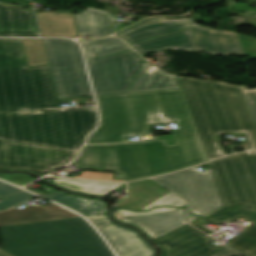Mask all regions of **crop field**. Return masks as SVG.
Segmentation results:
<instances>
[{
    "mask_svg": "<svg viewBox=\"0 0 256 256\" xmlns=\"http://www.w3.org/2000/svg\"><path fill=\"white\" fill-rule=\"evenodd\" d=\"M96 97L102 121L87 144L143 135L148 123L155 122H175L177 142L87 145L75 162L83 169L123 173L126 181L207 161L182 90Z\"/></svg>",
    "mask_w": 256,
    "mask_h": 256,
    "instance_id": "1",
    "label": "crop field"
},
{
    "mask_svg": "<svg viewBox=\"0 0 256 256\" xmlns=\"http://www.w3.org/2000/svg\"><path fill=\"white\" fill-rule=\"evenodd\" d=\"M207 159L225 155L219 134L245 132L256 149V130L238 86L179 77Z\"/></svg>",
    "mask_w": 256,
    "mask_h": 256,
    "instance_id": "2",
    "label": "crop field"
},
{
    "mask_svg": "<svg viewBox=\"0 0 256 256\" xmlns=\"http://www.w3.org/2000/svg\"><path fill=\"white\" fill-rule=\"evenodd\" d=\"M3 248L14 256H113L82 218L0 228Z\"/></svg>",
    "mask_w": 256,
    "mask_h": 256,
    "instance_id": "3",
    "label": "crop field"
},
{
    "mask_svg": "<svg viewBox=\"0 0 256 256\" xmlns=\"http://www.w3.org/2000/svg\"><path fill=\"white\" fill-rule=\"evenodd\" d=\"M96 120L95 108L0 112V138L80 149Z\"/></svg>",
    "mask_w": 256,
    "mask_h": 256,
    "instance_id": "4",
    "label": "crop field"
},
{
    "mask_svg": "<svg viewBox=\"0 0 256 256\" xmlns=\"http://www.w3.org/2000/svg\"><path fill=\"white\" fill-rule=\"evenodd\" d=\"M60 108L48 65L0 72V111Z\"/></svg>",
    "mask_w": 256,
    "mask_h": 256,
    "instance_id": "5",
    "label": "crop field"
},
{
    "mask_svg": "<svg viewBox=\"0 0 256 256\" xmlns=\"http://www.w3.org/2000/svg\"><path fill=\"white\" fill-rule=\"evenodd\" d=\"M58 98L91 95L78 44L65 39H43Z\"/></svg>",
    "mask_w": 256,
    "mask_h": 256,
    "instance_id": "6",
    "label": "crop field"
},
{
    "mask_svg": "<svg viewBox=\"0 0 256 256\" xmlns=\"http://www.w3.org/2000/svg\"><path fill=\"white\" fill-rule=\"evenodd\" d=\"M78 151L0 139V169H24L42 176L70 162Z\"/></svg>",
    "mask_w": 256,
    "mask_h": 256,
    "instance_id": "7",
    "label": "crop field"
},
{
    "mask_svg": "<svg viewBox=\"0 0 256 256\" xmlns=\"http://www.w3.org/2000/svg\"><path fill=\"white\" fill-rule=\"evenodd\" d=\"M223 205L234 200L256 203V152L210 162Z\"/></svg>",
    "mask_w": 256,
    "mask_h": 256,
    "instance_id": "8",
    "label": "crop field"
},
{
    "mask_svg": "<svg viewBox=\"0 0 256 256\" xmlns=\"http://www.w3.org/2000/svg\"><path fill=\"white\" fill-rule=\"evenodd\" d=\"M96 95L130 93L143 59L133 50L102 59H86Z\"/></svg>",
    "mask_w": 256,
    "mask_h": 256,
    "instance_id": "9",
    "label": "crop field"
},
{
    "mask_svg": "<svg viewBox=\"0 0 256 256\" xmlns=\"http://www.w3.org/2000/svg\"><path fill=\"white\" fill-rule=\"evenodd\" d=\"M155 179L187 199L197 215L223 206L209 164L204 172L192 168Z\"/></svg>",
    "mask_w": 256,
    "mask_h": 256,
    "instance_id": "10",
    "label": "crop field"
},
{
    "mask_svg": "<svg viewBox=\"0 0 256 256\" xmlns=\"http://www.w3.org/2000/svg\"><path fill=\"white\" fill-rule=\"evenodd\" d=\"M154 241L163 250L161 256H211L218 251L209 243L214 239L188 224Z\"/></svg>",
    "mask_w": 256,
    "mask_h": 256,
    "instance_id": "11",
    "label": "crop field"
},
{
    "mask_svg": "<svg viewBox=\"0 0 256 256\" xmlns=\"http://www.w3.org/2000/svg\"><path fill=\"white\" fill-rule=\"evenodd\" d=\"M87 219L99 229L118 256H152V249L134 232L114 225L104 215Z\"/></svg>",
    "mask_w": 256,
    "mask_h": 256,
    "instance_id": "12",
    "label": "crop field"
},
{
    "mask_svg": "<svg viewBox=\"0 0 256 256\" xmlns=\"http://www.w3.org/2000/svg\"><path fill=\"white\" fill-rule=\"evenodd\" d=\"M77 217L80 216L53 203L45 207L9 208L0 212V227Z\"/></svg>",
    "mask_w": 256,
    "mask_h": 256,
    "instance_id": "13",
    "label": "crop field"
},
{
    "mask_svg": "<svg viewBox=\"0 0 256 256\" xmlns=\"http://www.w3.org/2000/svg\"><path fill=\"white\" fill-rule=\"evenodd\" d=\"M201 52L210 55L244 56L237 33L217 31L193 24Z\"/></svg>",
    "mask_w": 256,
    "mask_h": 256,
    "instance_id": "14",
    "label": "crop field"
},
{
    "mask_svg": "<svg viewBox=\"0 0 256 256\" xmlns=\"http://www.w3.org/2000/svg\"><path fill=\"white\" fill-rule=\"evenodd\" d=\"M0 36H39L34 13L0 2Z\"/></svg>",
    "mask_w": 256,
    "mask_h": 256,
    "instance_id": "15",
    "label": "crop field"
},
{
    "mask_svg": "<svg viewBox=\"0 0 256 256\" xmlns=\"http://www.w3.org/2000/svg\"><path fill=\"white\" fill-rule=\"evenodd\" d=\"M119 221L135 225L145 231L149 238L154 240L186 224L185 208Z\"/></svg>",
    "mask_w": 256,
    "mask_h": 256,
    "instance_id": "16",
    "label": "crop field"
},
{
    "mask_svg": "<svg viewBox=\"0 0 256 256\" xmlns=\"http://www.w3.org/2000/svg\"><path fill=\"white\" fill-rule=\"evenodd\" d=\"M188 27H191L190 19L169 22L165 18L158 17L140 22L135 26L116 34L115 36L124 39L128 44H132L141 40L175 32Z\"/></svg>",
    "mask_w": 256,
    "mask_h": 256,
    "instance_id": "17",
    "label": "crop field"
},
{
    "mask_svg": "<svg viewBox=\"0 0 256 256\" xmlns=\"http://www.w3.org/2000/svg\"><path fill=\"white\" fill-rule=\"evenodd\" d=\"M174 89H179L176 77L161 71L149 63L141 66L130 87L131 93Z\"/></svg>",
    "mask_w": 256,
    "mask_h": 256,
    "instance_id": "18",
    "label": "crop field"
},
{
    "mask_svg": "<svg viewBox=\"0 0 256 256\" xmlns=\"http://www.w3.org/2000/svg\"><path fill=\"white\" fill-rule=\"evenodd\" d=\"M132 47H134L140 55L174 47H179L180 49L191 48L192 51H200L192 29L136 43L132 45Z\"/></svg>",
    "mask_w": 256,
    "mask_h": 256,
    "instance_id": "19",
    "label": "crop field"
},
{
    "mask_svg": "<svg viewBox=\"0 0 256 256\" xmlns=\"http://www.w3.org/2000/svg\"><path fill=\"white\" fill-rule=\"evenodd\" d=\"M42 37H77L71 13H36Z\"/></svg>",
    "mask_w": 256,
    "mask_h": 256,
    "instance_id": "20",
    "label": "crop field"
},
{
    "mask_svg": "<svg viewBox=\"0 0 256 256\" xmlns=\"http://www.w3.org/2000/svg\"><path fill=\"white\" fill-rule=\"evenodd\" d=\"M76 19L80 35L90 37H103L110 34L111 25L116 21L109 13L95 8L82 11L81 15H76Z\"/></svg>",
    "mask_w": 256,
    "mask_h": 256,
    "instance_id": "21",
    "label": "crop field"
},
{
    "mask_svg": "<svg viewBox=\"0 0 256 256\" xmlns=\"http://www.w3.org/2000/svg\"><path fill=\"white\" fill-rule=\"evenodd\" d=\"M26 58L20 39H0V71L25 68Z\"/></svg>",
    "mask_w": 256,
    "mask_h": 256,
    "instance_id": "22",
    "label": "crop field"
},
{
    "mask_svg": "<svg viewBox=\"0 0 256 256\" xmlns=\"http://www.w3.org/2000/svg\"><path fill=\"white\" fill-rule=\"evenodd\" d=\"M51 194H53V196L48 197L49 199L59 202L73 210H76L84 216L103 214L107 208L103 201L75 197L64 194L60 191H55Z\"/></svg>",
    "mask_w": 256,
    "mask_h": 256,
    "instance_id": "23",
    "label": "crop field"
},
{
    "mask_svg": "<svg viewBox=\"0 0 256 256\" xmlns=\"http://www.w3.org/2000/svg\"><path fill=\"white\" fill-rule=\"evenodd\" d=\"M52 183L67 189L73 190L82 193L94 194V195H101L105 196L122 184H109L103 182H88V181H81V180H73V179H61L58 178Z\"/></svg>",
    "mask_w": 256,
    "mask_h": 256,
    "instance_id": "24",
    "label": "crop field"
},
{
    "mask_svg": "<svg viewBox=\"0 0 256 256\" xmlns=\"http://www.w3.org/2000/svg\"><path fill=\"white\" fill-rule=\"evenodd\" d=\"M86 58L102 57L119 51L130 49L123 41L118 38L108 37L105 39L81 42ZM100 46L101 48H97Z\"/></svg>",
    "mask_w": 256,
    "mask_h": 256,
    "instance_id": "25",
    "label": "crop field"
},
{
    "mask_svg": "<svg viewBox=\"0 0 256 256\" xmlns=\"http://www.w3.org/2000/svg\"><path fill=\"white\" fill-rule=\"evenodd\" d=\"M226 245L247 256H256V221Z\"/></svg>",
    "mask_w": 256,
    "mask_h": 256,
    "instance_id": "26",
    "label": "crop field"
},
{
    "mask_svg": "<svg viewBox=\"0 0 256 256\" xmlns=\"http://www.w3.org/2000/svg\"><path fill=\"white\" fill-rule=\"evenodd\" d=\"M240 218H244L250 222L256 220V208L235 207L226 213L203 219L204 222L212 221L219 225L222 223H231Z\"/></svg>",
    "mask_w": 256,
    "mask_h": 256,
    "instance_id": "27",
    "label": "crop field"
},
{
    "mask_svg": "<svg viewBox=\"0 0 256 256\" xmlns=\"http://www.w3.org/2000/svg\"><path fill=\"white\" fill-rule=\"evenodd\" d=\"M28 66L45 65L47 63L42 39H21Z\"/></svg>",
    "mask_w": 256,
    "mask_h": 256,
    "instance_id": "28",
    "label": "crop field"
},
{
    "mask_svg": "<svg viewBox=\"0 0 256 256\" xmlns=\"http://www.w3.org/2000/svg\"><path fill=\"white\" fill-rule=\"evenodd\" d=\"M18 191H22V190L14 187V186H11L9 184L0 186V196L18 192ZM34 197H37V196H35L29 192H24V193L1 198L4 202L0 203V211L3 209H7L11 206H14V205H16L22 201H25L27 199L34 198Z\"/></svg>",
    "mask_w": 256,
    "mask_h": 256,
    "instance_id": "29",
    "label": "crop field"
},
{
    "mask_svg": "<svg viewBox=\"0 0 256 256\" xmlns=\"http://www.w3.org/2000/svg\"><path fill=\"white\" fill-rule=\"evenodd\" d=\"M241 95L244 99V102L247 106L249 114L252 118L254 126L256 128V89L255 90H248L244 86H239Z\"/></svg>",
    "mask_w": 256,
    "mask_h": 256,
    "instance_id": "30",
    "label": "crop field"
},
{
    "mask_svg": "<svg viewBox=\"0 0 256 256\" xmlns=\"http://www.w3.org/2000/svg\"><path fill=\"white\" fill-rule=\"evenodd\" d=\"M162 205H166V206H186V203L181 198H179L178 196H176V195H174L173 193L170 192L167 195L160 198L159 200H157L156 202L149 205L148 207L144 208L143 210L150 209L154 206H162Z\"/></svg>",
    "mask_w": 256,
    "mask_h": 256,
    "instance_id": "31",
    "label": "crop field"
},
{
    "mask_svg": "<svg viewBox=\"0 0 256 256\" xmlns=\"http://www.w3.org/2000/svg\"><path fill=\"white\" fill-rule=\"evenodd\" d=\"M245 55L256 57V38L238 34Z\"/></svg>",
    "mask_w": 256,
    "mask_h": 256,
    "instance_id": "32",
    "label": "crop field"
},
{
    "mask_svg": "<svg viewBox=\"0 0 256 256\" xmlns=\"http://www.w3.org/2000/svg\"><path fill=\"white\" fill-rule=\"evenodd\" d=\"M174 209H178V208H159V209H153L149 212H144V213H132V212H129L126 210H116V211H114V216L119 220V219L135 217V216H140V215H146V214H152V213H158V212L169 211V210H174Z\"/></svg>",
    "mask_w": 256,
    "mask_h": 256,
    "instance_id": "33",
    "label": "crop field"
},
{
    "mask_svg": "<svg viewBox=\"0 0 256 256\" xmlns=\"http://www.w3.org/2000/svg\"><path fill=\"white\" fill-rule=\"evenodd\" d=\"M235 205H247L249 207H256V204H250V203H244V202L235 201V202H233V203H231V204H229V205H227L225 207L218 208V209H216V210H214V211L204 215L203 217H206V216H209V215H212V214H217V213H219L221 211H225L226 209H228V208H230L232 206H235Z\"/></svg>",
    "mask_w": 256,
    "mask_h": 256,
    "instance_id": "34",
    "label": "crop field"
},
{
    "mask_svg": "<svg viewBox=\"0 0 256 256\" xmlns=\"http://www.w3.org/2000/svg\"><path fill=\"white\" fill-rule=\"evenodd\" d=\"M248 5L249 4H247V3L240 2V3L236 4L235 6H233L230 9L232 11H238V12H245L246 10H248V11H256V8L248 7ZM234 8H237V10H233Z\"/></svg>",
    "mask_w": 256,
    "mask_h": 256,
    "instance_id": "35",
    "label": "crop field"
},
{
    "mask_svg": "<svg viewBox=\"0 0 256 256\" xmlns=\"http://www.w3.org/2000/svg\"><path fill=\"white\" fill-rule=\"evenodd\" d=\"M238 255L236 252L228 249L223 246L218 252H216L213 256H236Z\"/></svg>",
    "mask_w": 256,
    "mask_h": 256,
    "instance_id": "36",
    "label": "crop field"
},
{
    "mask_svg": "<svg viewBox=\"0 0 256 256\" xmlns=\"http://www.w3.org/2000/svg\"><path fill=\"white\" fill-rule=\"evenodd\" d=\"M30 176L27 175H0L1 179H5L9 182L18 181L21 179L29 178Z\"/></svg>",
    "mask_w": 256,
    "mask_h": 256,
    "instance_id": "37",
    "label": "crop field"
},
{
    "mask_svg": "<svg viewBox=\"0 0 256 256\" xmlns=\"http://www.w3.org/2000/svg\"><path fill=\"white\" fill-rule=\"evenodd\" d=\"M33 179L29 178V179H25V180H22V181H18V182H14L13 184H17L19 186H23L24 184L32 181Z\"/></svg>",
    "mask_w": 256,
    "mask_h": 256,
    "instance_id": "38",
    "label": "crop field"
},
{
    "mask_svg": "<svg viewBox=\"0 0 256 256\" xmlns=\"http://www.w3.org/2000/svg\"><path fill=\"white\" fill-rule=\"evenodd\" d=\"M125 26H127L125 23H120V24H118L115 28H114V31H117V30H119V29H121V28H123V27H125Z\"/></svg>",
    "mask_w": 256,
    "mask_h": 256,
    "instance_id": "39",
    "label": "crop field"
},
{
    "mask_svg": "<svg viewBox=\"0 0 256 256\" xmlns=\"http://www.w3.org/2000/svg\"><path fill=\"white\" fill-rule=\"evenodd\" d=\"M198 217H199V216L190 214V216H189V221H192V220H194V219H196V218H198Z\"/></svg>",
    "mask_w": 256,
    "mask_h": 256,
    "instance_id": "40",
    "label": "crop field"
},
{
    "mask_svg": "<svg viewBox=\"0 0 256 256\" xmlns=\"http://www.w3.org/2000/svg\"><path fill=\"white\" fill-rule=\"evenodd\" d=\"M0 256H12V255L0 250Z\"/></svg>",
    "mask_w": 256,
    "mask_h": 256,
    "instance_id": "41",
    "label": "crop field"
},
{
    "mask_svg": "<svg viewBox=\"0 0 256 256\" xmlns=\"http://www.w3.org/2000/svg\"><path fill=\"white\" fill-rule=\"evenodd\" d=\"M1 184H5V183L0 181V185H1Z\"/></svg>",
    "mask_w": 256,
    "mask_h": 256,
    "instance_id": "42",
    "label": "crop field"
}]
</instances>
